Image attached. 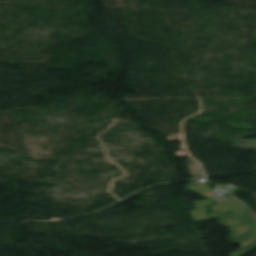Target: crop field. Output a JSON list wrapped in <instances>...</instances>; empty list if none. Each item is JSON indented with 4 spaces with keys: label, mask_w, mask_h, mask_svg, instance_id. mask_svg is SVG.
Listing matches in <instances>:
<instances>
[{
    "label": "crop field",
    "mask_w": 256,
    "mask_h": 256,
    "mask_svg": "<svg viewBox=\"0 0 256 256\" xmlns=\"http://www.w3.org/2000/svg\"><path fill=\"white\" fill-rule=\"evenodd\" d=\"M188 190H191L200 195H204L206 197L214 195L213 191L209 187L199 182L189 183Z\"/></svg>",
    "instance_id": "3"
},
{
    "label": "crop field",
    "mask_w": 256,
    "mask_h": 256,
    "mask_svg": "<svg viewBox=\"0 0 256 256\" xmlns=\"http://www.w3.org/2000/svg\"><path fill=\"white\" fill-rule=\"evenodd\" d=\"M240 203H242L256 217V213L251 210L243 201H241Z\"/></svg>",
    "instance_id": "5"
},
{
    "label": "crop field",
    "mask_w": 256,
    "mask_h": 256,
    "mask_svg": "<svg viewBox=\"0 0 256 256\" xmlns=\"http://www.w3.org/2000/svg\"><path fill=\"white\" fill-rule=\"evenodd\" d=\"M194 204L197 207V210L191 211L194 221L198 222V221L210 220V218L205 213L204 208L206 205H211L212 202L209 200H204V201L195 202Z\"/></svg>",
    "instance_id": "2"
},
{
    "label": "crop field",
    "mask_w": 256,
    "mask_h": 256,
    "mask_svg": "<svg viewBox=\"0 0 256 256\" xmlns=\"http://www.w3.org/2000/svg\"><path fill=\"white\" fill-rule=\"evenodd\" d=\"M186 163L188 164V166L190 167V169L188 170L189 173L195 177V178H201L204 177V174L202 173L199 165L193 160H187Z\"/></svg>",
    "instance_id": "4"
},
{
    "label": "crop field",
    "mask_w": 256,
    "mask_h": 256,
    "mask_svg": "<svg viewBox=\"0 0 256 256\" xmlns=\"http://www.w3.org/2000/svg\"><path fill=\"white\" fill-rule=\"evenodd\" d=\"M221 199L224 202L211 207L216 211L212 213V217L220 219L222 226H230L233 233L230 242L242 248L230 256H244L256 250V219L230 194Z\"/></svg>",
    "instance_id": "1"
}]
</instances>
